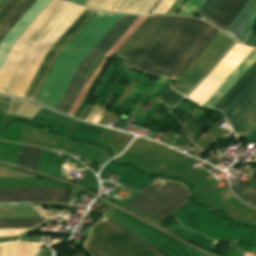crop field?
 <instances>
[{
	"label": "crop field",
	"mask_w": 256,
	"mask_h": 256,
	"mask_svg": "<svg viewBox=\"0 0 256 256\" xmlns=\"http://www.w3.org/2000/svg\"><path fill=\"white\" fill-rule=\"evenodd\" d=\"M107 0H86L84 6L101 10ZM116 0H108L102 10L110 11Z\"/></svg>",
	"instance_id": "21"
},
{
	"label": "crop field",
	"mask_w": 256,
	"mask_h": 256,
	"mask_svg": "<svg viewBox=\"0 0 256 256\" xmlns=\"http://www.w3.org/2000/svg\"><path fill=\"white\" fill-rule=\"evenodd\" d=\"M175 0H162L152 14L166 13Z\"/></svg>",
	"instance_id": "24"
},
{
	"label": "crop field",
	"mask_w": 256,
	"mask_h": 256,
	"mask_svg": "<svg viewBox=\"0 0 256 256\" xmlns=\"http://www.w3.org/2000/svg\"><path fill=\"white\" fill-rule=\"evenodd\" d=\"M34 0H0L7 5L0 15V39L24 13Z\"/></svg>",
	"instance_id": "12"
},
{
	"label": "crop field",
	"mask_w": 256,
	"mask_h": 256,
	"mask_svg": "<svg viewBox=\"0 0 256 256\" xmlns=\"http://www.w3.org/2000/svg\"><path fill=\"white\" fill-rule=\"evenodd\" d=\"M69 1L81 4V5H83V3L85 2V0H69Z\"/></svg>",
	"instance_id": "27"
},
{
	"label": "crop field",
	"mask_w": 256,
	"mask_h": 256,
	"mask_svg": "<svg viewBox=\"0 0 256 256\" xmlns=\"http://www.w3.org/2000/svg\"><path fill=\"white\" fill-rule=\"evenodd\" d=\"M247 203H250V204H253V205L256 206V197H255L254 199L250 200V201L247 202ZM253 205H252V206H253Z\"/></svg>",
	"instance_id": "28"
},
{
	"label": "crop field",
	"mask_w": 256,
	"mask_h": 256,
	"mask_svg": "<svg viewBox=\"0 0 256 256\" xmlns=\"http://www.w3.org/2000/svg\"><path fill=\"white\" fill-rule=\"evenodd\" d=\"M137 17L138 16L123 15L79 63L56 107V110L68 114L92 68L107 53V51L114 45V43L121 37V35L128 29V27L135 21Z\"/></svg>",
	"instance_id": "4"
},
{
	"label": "crop field",
	"mask_w": 256,
	"mask_h": 256,
	"mask_svg": "<svg viewBox=\"0 0 256 256\" xmlns=\"http://www.w3.org/2000/svg\"><path fill=\"white\" fill-rule=\"evenodd\" d=\"M189 0H176L167 13L179 14Z\"/></svg>",
	"instance_id": "25"
},
{
	"label": "crop field",
	"mask_w": 256,
	"mask_h": 256,
	"mask_svg": "<svg viewBox=\"0 0 256 256\" xmlns=\"http://www.w3.org/2000/svg\"><path fill=\"white\" fill-rule=\"evenodd\" d=\"M233 191L239 194L246 202L249 201L256 196V178Z\"/></svg>",
	"instance_id": "19"
},
{
	"label": "crop field",
	"mask_w": 256,
	"mask_h": 256,
	"mask_svg": "<svg viewBox=\"0 0 256 256\" xmlns=\"http://www.w3.org/2000/svg\"><path fill=\"white\" fill-rule=\"evenodd\" d=\"M39 109L27 101L12 99L7 113L31 118Z\"/></svg>",
	"instance_id": "17"
},
{
	"label": "crop field",
	"mask_w": 256,
	"mask_h": 256,
	"mask_svg": "<svg viewBox=\"0 0 256 256\" xmlns=\"http://www.w3.org/2000/svg\"><path fill=\"white\" fill-rule=\"evenodd\" d=\"M228 120L235 134H246L256 126V89Z\"/></svg>",
	"instance_id": "10"
},
{
	"label": "crop field",
	"mask_w": 256,
	"mask_h": 256,
	"mask_svg": "<svg viewBox=\"0 0 256 256\" xmlns=\"http://www.w3.org/2000/svg\"><path fill=\"white\" fill-rule=\"evenodd\" d=\"M182 98H183L182 96H180L175 91L169 88L159 99L174 106Z\"/></svg>",
	"instance_id": "22"
},
{
	"label": "crop field",
	"mask_w": 256,
	"mask_h": 256,
	"mask_svg": "<svg viewBox=\"0 0 256 256\" xmlns=\"http://www.w3.org/2000/svg\"><path fill=\"white\" fill-rule=\"evenodd\" d=\"M121 16L97 12L58 56L35 101L55 109L78 63Z\"/></svg>",
	"instance_id": "3"
},
{
	"label": "crop field",
	"mask_w": 256,
	"mask_h": 256,
	"mask_svg": "<svg viewBox=\"0 0 256 256\" xmlns=\"http://www.w3.org/2000/svg\"><path fill=\"white\" fill-rule=\"evenodd\" d=\"M255 88H256V61L250 66V68L244 73V75L237 81V83L228 91V93L219 101V103L215 106V108L222 110L228 119L232 115V113L243 103V101L253 92Z\"/></svg>",
	"instance_id": "8"
},
{
	"label": "crop field",
	"mask_w": 256,
	"mask_h": 256,
	"mask_svg": "<svg viewBox=\"0 0 256 256\" xmlns=\"http://www.w3.org/2000/svg\"><path fill=\"white\" fill-rule=\"evenodd\" d=\"M248 1L249 0H224L209 21L227 30Z\"/></svg>",
	"instance_id": "13"
},
{
	"label": "crop field",
	"mask_w": 256,
	"mask_h": 256,
	"mask_svg": "<svg viewBox=\"0 0 256 256\" xmlns=\"http://www.w3.org/2000/svg\"><path fill=\"white\" fill-rule=\"evenodd\" d=\"M219 32L194 18L151 17L116 56L133 68L178 79Z\"/></svg>",
	"instance_id": "1"
},
{
	"label": "crop field",
	"mask_w": 256,
	"mask_h": 256,
	"mask_svg": "<svg viewBox=\"0 0 256 256\" xmlns=\"http://www.w3.org/2000/svg\"><path fill=\"white\" fill-rule=\"evenodd\" d=\"M64 4L65 2L63 1L52 0L51 3L43 10V12L14 43L11 51L9 52L6 60L4 61L0 69V92H2L26 47L46 26V24L54 17V15L62 8Z\"/></svg>",
	"instance_id": "7"
},
{
	"label": "crop field",
	"mask_w": 256,
	"mask_h": 256,
	"mask_svg": "<svg viewBox=\"0 0 256 256\" xmlns=\"http://www.w3.org/2000/svg\"><path fill=\"white\" fill-rule=\"evenodd\" d=\"M254 123H256V121Z\"/></svg>",
	"instance_id": "29"
},
{
	"label": "crop field",
	"mask_w": 256,
	"mask_h": 256,
	"mask_svg": "<svg viewBox=\"0 0 256 256\" xmlns=\"http://www.w3.org/2000/svg\"><path fill=\"white\" fill-rule=\"evenodd\" d=\"M14 243H6L5 256H13Z\"/></svg>",
	"instance_id": "26"
},
{
	"label": "crop field",
	"mask_w": 256,
	"mask_h": 256,
	"mask_svg": "<svg viewBox=\"0 0 256 256\" xmlns=\"http://www.w3.org/2000/svg\"><path fill=\"white\" fill-rule=\"evenodd\" d=\"M71 189H0V202H68Z\"/></svg>",
	"instance_id": "9"
},
{
	"label": "crop field",
	"mask_w": 256,
	"mask_h": 256,
	"mask_svg": "<svg viewBox=\"0 0 256 256\" xmlns=\"http://www.w3.org/2000/svg\"><path fill=\"white\" fill-rule=\"evenodd\" d=\"M256 17V0H250L226 32L243 42Z\"/></svg>",
	"instance_id": "11"
},
{
	"label": "crop field",
	"mask_w": 256,
	"mask_h": 256,
	"mask_svg": "<svg viewBox=\"0 0 256 256\" xmlns=\"http://www.w3.org/2000/svg\"><path fill=\"white\" fill-rule=\"evenodd\" d=\"M83 10L84 8L82 7L68 3L63 6V8L55 15V17L27 47L3 92L11 93L21 97L23 96L45 53L73 23V21L81 14ZM92 12V10L85 9L46 53L23 97L31 99L54 55Z\"/></svg>",
	"instance_id": "2"
},
{
	"label": "crop field",
	"mask_w": 256,
	"mask_h": 256,
	"mask_svg": "<svg viewBox=\"0 0 256 256\" xmlns=\"http://www.w3.org/2000/svg\"><path fill=\"white\" fill-rule=\"evenodd\" d=\"M45 219L0 220V228H31Z\"/></svg>",
	"instance_id": "18"
},
{
	"label": "crop field",
	"mask_w": 256,
	"mask_h": 256,
	"mask_svg": "<svg viewBox=\"0 0 256 256\" xmlns=\"http://www.w3.org/2000/svg\"><path fill=\"white\" fill-rule=\"evenodd\" d=\"M85 247L95 256H114L113 254L109 253L108 251L104 250L89 240Z\"/></svg>",
	"instance_id": "23"
},
{
	"label": "crop field",
	"mask_w": 256,
	"mask_h": 256,
	"mask_svg": "<svg viewBox=\"0 0 256 256\" xmlns=\"http://www.w3.org/2000/svg\"><path fill=\"white\" fill-rule=\"evenodd\" d=\"M189 197L188 190L181 184L160 180L149 186L124 208L139 211L161 222Z\"/></svg>",
	"instance_id": "5"
},
{
	"label": "crop field",
	"mask_w": 256,
	"mask_h": 256,
	"mask_svg": "<svg viewBox=\"0 0 256 256\" xmlns=\"http://www.w3.org/2000/svg\"><path fill=\"white\" fill-rule=\"evenodd\" d=\"M40 151L39 148L21 145L17 164L37 171Z\"/></svg>",
	"instance_id": "16"
},
{
	"label": "crop field",
	"mask_w": 256,
	"mask_h": 256,
	"mask_svg": "<svg viewBox=\"0 0 256 256\" xmlns=\"http://www.w3.org/2000/svg\"><path fill=\"white\" fill-rule=\"evenodd\" d=\"M105 223L125 234L134 241L138 242L139 244L143 245L157 255L166 256L142 240L128 233L124 229L115 225L111 221L106 220ZM105 223L101 222L95 225L93 231L91 230L92 235L90 234L91 237L89 240L93 241L94 243L98 244L116 256H157Z\"/></svg>",
	"instance_id": "6"
},
{
	"label": "crop field",
	"mask_w": 256,
	"mask_h": 256,
	"mask_svg": "<svg viewBox=\"0 0 256 256\" xmlns=\"http://www.w3.org/2000/svg\"><path fill=\"white\" fill-rule=\"evenodd\" d=\"M158 0H118L112 11L148 14Z\"/></svg>",
	"instance_id": "15"
},
{
	"label": "crop field",
	"mask_w": 256,
	"mask_h": 256,
	"mask_svg": "<svg viewBox=\"0 0 256 256\" xmlns=\"http://www.w3.org/2000/svg\"><path fill=\"white\" fill-rule=\"evenodd\" d=\"M44 217L27 203H0V218Z\"/></svg>",
	"instance_id": "14"
},
{
	"label": "crop field",
	"mask_w": 256,
	"mask_h": 256,
	"mask_svg": "<svg viewBox=\"0 0 256 256\" xmlns=\"http://www.w3.org/2000/svg\"><path fill=\"white\" fill-rule=\"evenodd\" d=\"M222 2L223 0H206L197 12L209 20Z\"/></svg>",
	"instance_id": "20"
}]
</instances>
